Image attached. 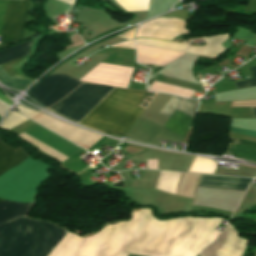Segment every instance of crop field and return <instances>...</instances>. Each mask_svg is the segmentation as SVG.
I'll return each mask as SVG.
<instances>
[{
    "instance_id": "obj_1",
    "label": "crop field",
    "mask_w": 256,
    "mask_h": 256,
    "mask_svg": "<svg viewBox=\"0 0 256 256\" xmlns=\"http://www.w3.org/2000/svg\"><path fill=\"white\" fill-rule=\"evenodd\" d=\"M139 211L129 222L108 226L98 234L80 239L49 224L14 218L0 224V256H115L134 232Z\"/></svg>"
},
{
    "instance_id": "obj_2",
    "label": "crop field",
    "mask_w": 256,
    "mask_h": 256,
    "mask_svg": "<svg viewBox=\"0 0 256 256\" xmlns=\"http://www.w3.org/2000/svg\"><path fill=\"white\" fill-rule=\"evenodd\" d=\"M144 92L115 88L80 123L104 133L122 134L130 128L143 109L137 107Z\"/></svg>"
},
{
    "instance_id": "obj_3",
    "label": "crop field",
    "mask_w": 256,
    "mask_h": 256,
    "mask_svg": "<svg viewBox=\"0 0 256 256\" xmlns=\"http://www.w3.org/2000/svg\"><path fill=\"white\" fill-rule=\"evenodd\" d=\"M52 168L31 156L16 167L0 176V198L15 202L34 203L38 195V185L48 176Z\"/></svg>"
},
{
    "instance_id": "obj_4",
    "label": "crop field",
    "mask_w": 256,
    "mask_h": 256,
    "mask_svg": "<svg viewBox=\"0 0 256 256\" xmlns=\"http://www.w3.org/2000/svg\"><path fill=\"white\" fill-rule=\"evenodd\" d=\"M112 89L103 85L84 83L48 109L78 123Z\"/></svg>"
},
{
    "instance_id": "obj_5",
    "label": "crop field",
    "mask_w": 256,
    "mask_h": 256,
    "mask_svg": "<svg viewBox=\"0 0 256 256\" xmlns=\"http://www.w3.org/2000/svg\"><path fill=\"white\" fill-rule=\"evenodd\" d=\"M30 2L0 0V47L23 38Z\"/></svg>"
},
{
    "instance_id": "obj_6",
    "label": "crop field",
    "mask_w": 256,
    "mask_h": 256,
    "mask_svg": "<svg viewBox=\"0 0 256 256\" xmlns=\"http://www.w3.org/2000/svg\"><path fill=\"white\" fill-rule=\"evenodd\" d=\"M81 83L64 75L47 76L29 93L42 105L48 107L69 94Z\"/></svg>"
},
{
    "instance_id": "obj_7",
    "label": "crop field",
    "mask_w": 256,
    "mask_h": 256,
    "mask_svg": "<svg viewBox=\"0 0 256 256\" xmlns=\"http://www.w3.org/2000/svg\"><path fill=\"white\" fill-rule=\"evenodd\" d=\"M31 119L46 126L47 128L53 130L54 132L87 150L102 137L98 134L86 130L71 127L61 121L50 118L41 113L37 114Z\"/></svg>"
},
{
    "instance_id": "obj_8",
    "label": "crop field",
    "mask_w": 256,
    "mask_h": 256,
    "mask_svg": "<svg viewBox=\"0 0 256 256\" xmlns=\"http://www.w3.org/2000/svg\"><path fill=\"white\" fill-rule=\"evenodd\" d=\"M186 21L177 18H156L141 24L136 38L152 37L172 40L177 35L188 34L185 29Z\"/></svg>"
},
{
    "instance_id": "obj_9",
    "label": "crop field",
    "mask_w": 256,
    "mask_h": 256,
    "mask_svg": "<svg viewBox=\"0 0 256 256\" xmlns=\"http://www.w3.org/2000/svg\"><path fill=\"white\" fill-rule=\"evenodd\" d=\"M182 100H183V98L172 96L171 99L168 101V103L165 105V107L162 109L161 113L170 116L174 112V110L178 107V105L181 103ZM197 103L198 102H192V101L184 99L177 109L194 117L195 112H196ZM169 119L188 128L193 118L176 110L174 112V114ZM169 119L165 123L164 127L170 129L171 131L175 132L176 134H178L180 136H183V134L187 128H185Z\"/></svg>"
},
{
    "instance_id": "obj_10",
    "label": "crop field",
    "mask_w": 256,
    "mask_h": 256,
    "mask_svg": "<svg viewBox=\"0 0 256 256\" xmlns=\"http://www.w3.org/2000/svg\"><path fill=\"white\" fill-rule=\"evenodd\" d=\"M32 41L33 40L21 45L12 47L10 49L1 51L0 64L26 55L30 50ZM0 81L9 87L16 88L19 90H24L31 82H33V80H29L19 76L9 78L1 68H0Z\"/></svg>"
},
{
    "instance_id": "obj_11",
    "label": "crop field",
    "mask_w": 256,
    "mask_h": 256,
    "mask_svg": "<svg viewBox=\"0 0 256 256\" xmlns=\"http://www.w3.org/2000/svg\"><path fill=\"white\" fill-rule=\"evenodd\" d=\"M29 155L21 147L16 149L0 141V175L16 166Z\"/></svg>"
},
{
    "instance_id": "obj_12",
    "label": "crop field",
    "mask_w": 256,
    "mask_h": 256,
    "mask_svg": "<svg viewBox=\"0 0 256 256\" xmlns=\"http://www.w3.org/2000/svg\"><path fill=\"white\" fill-rule=\"evenodd\" d=\"M249 181L246 178L201 175L198 186L245 189Z\"/></svg>"
},
{
    "instance_id": "obj_13",
    "label": "crop field",
    "mask_w": 256,
    "mask_h": 256,
    "mask_svg": "<svg viewBox=\"0 0 256 256\" xmlns=\"http://www.w3.org/2000/svg\"><path fill=\"white\" fill-rule=\"evenodd\" d=\"M227 34L225 35H217L212 37H205L203 38L206 42L205 46L202 47H190L189 49L183 51L189 54L207 56L215 58L220 52L224 51L225 49L220 45L221 42L226 40Z\"/></svg>"
},
{
    "instance_id": "obj_14",
    "label": "crop field",
    "mask_w": 256,
    "mask_h": 256,
    "mask_svg": "<svg viewBox=\"0 0 256 256\" xmlns=\"http://www.w3.org/2000/svg\"><path fill=\"white\" fill-rule=\"evenodd\" d=\"M32 206L33 204L0 201V223L20 215L29 214Z\"/></svg>"
},
{
    "instance_id": "obj_15",
    "label": "crop field",
    "mask_w": 256,
    "mask_h": 256,
    "mask_svg": "<svg viewBox=\"0 0 256 256\" xmlns=\"http://www.w3.org/2000/svg\"><path fill=\"white\" fill-rule=\"evenodd\" d=\"M226 153L235 154L236 157L256 161V148L230 143Z\"/></svg>"
},
{
    "instance_id": "obj_16",
    "label": "crop field",
    "mask_w": 256,
    "mask_h": 256,
    "mask_svg": "<svg viewBox=\"0 0 256 256\" xmlns=\"http://www.w3.org/2000/svg\"><path fill=\"white\" fill-rule=\"evenodd\" d=\"M136 43L140 44H146V45H152L157 46L161 48H167V49H173V50H183L188 48V45L180 44V43H174V42H167V41H160V40H154V39H136L134 40Z\"/></svg>"
},
{
    "instance_id": "obj_17",
    "label": "crop field",
    "mask_w": 256,
    "mask_h": 256,
    "mask_svg": "<svg viewBox=\"0 0 256 256\" xmlns=\"http://www.w3.org/2000/svg\"><path fill=\"white\" fill-rule=\"evenodd\" d=\"M115 1H117L122 7H124L126 11H141V10H148L150 0H115Z\"/></svg>"
},
{
    "instance_id": "obj_18",
    "label": "crop field",
    "mask_w": 256,
    "mask_h": 256,
    "mask_svg": "<svg viewBox=\"0 0 256 256\" xmlns=\"http://www.w3.org/2000/svg\"><path fill=\"white\" fill-rule=\"evenodd\" d=\"M18 136H20V137L26 139L27 141L33 143L34 145L38 146L40 150L46 152L47 154H49V155L55 157L56 159H58V160H60V161H62V162L65 161L66 159H68V158L62 156L61 154H59V153L53 151L52 149L46 147L45 145L39 143L38 141H36V140L30 138L29 136H27V135H25V134H23V133L19 134ZM26 140H25V141H26Z\"/></svg>"
},
{
    "instance_id": "obj_19",
    "label": "crop field",
    "mask_w": 256,
    "mask_h": 256,
    "mask_svg": "<svg viewBox=\"0 0 256 256\" xmlns=\"http://www.w3.org/2000/svg\"><path fill=\"white\" fill-rule=\"evenodd\" d=\"M19 115L11 111L10 114L6 117V119L2 122L0 127L9 129V128H12L15 125L27 120V119L21 117L22 115L21 116H19Z\"/></svg>"
},
{
    "instance_id": "obj_20",
    "label": "crop field",
    "mask_w": 256,
    "mask_h": 256,
    "mask_svg": "<svg viewBox=\"0 0 256 256\" xmlns=\"http://www.w3.org/2000/svg\"><path fill=\"white\" fill-rule=\"evenodd\" d=\"M237 89L256 86V79L245 80L234 83Z\"/></svg>"
},
{
    "instance_id": "obj_21",
    "label": "crop field",
    "mask_w": 256,
    "mask_h": 256,
    "mask_svg": "<svg viewBox=\"0 0 256 256\" xmlns=\"http://www.w3.org/2000/svg\"><path fill=\"white\" fill-rule=\"evenodd\" d=\"M231 140H232L233 143H238V144H242V145H246V146L256 147V142L237 139V138H233V137H231Z\"/></svg>"
},
{
    "instance_id": "obj_22",
    "label": "crop field",
    "mask_w": 256,
    "mask_h": 256,
    "mask_svg": "<svg viewBox=\"0 0 256 256\" xmlns=\"http://www.w3.org/2000/svg\"><path fill=\"white\" fill-rule=\"evenodd\" d=\"M15 108L18 109L20 112H22L23 114H25L29 118L38 113V112H35L33 110H30V109H27V108H24V107H21V106H16Z\"/></svg>"
},
{
    "instance_id": "obj_23",
    "label": "crop field",
    "mask_w": 256,
    "mask_h": 256,
    "mask_svg": "<svg viewBox=\"0 0 256 256\" xmlns=\"http://www.w3.org/2000/svg\"><path fill=\"white\" fill-rule=\"evenodd\" d=\"M229 131L256 137V132H254V131H248V130L233 128V127H231Z\"/></svg>"
},
{
    "instance_id": "obj_24",
    "label": "crop field",
    "mask_w": 256,
    "mask_h": 256,
    "mask_svg": "<svg viewBox=\"0 0 256 256\" xmlns=\"http://www.w3.org/2000/svg\"><path fill=\"white\" fill-rule=\"evenodd\" d=\"M135 28H136V26L131 28V29H129V30H127V31H125L124 33L118 35V37H122V38H126V39L132 38V36H133V34L135 32Z\"/></svg>"
},
{
    "instance_id": "obj_25",
    "label": "crop field",
    "mask_w": 256,
    "mask_h": 256,
    "mask_svg": "<svg viewBox=\"0 0 256 256\" xmlns=\"http://www.w3.org/2000/svg\"><path fill=\"white\" fill-rule=\"evenodd\" d=\"M116 47H128V48H134L132 41L124 42L121 44L114 45Z\"/></svg>"
},
{
    "instance_id": "obj_26",
    "label": "crop field",
    "mask_w": 256,
    "mask_h": 256,
    "mask_svg": "<svg viewBox=\"0 0 256 256\" xmlns=\"http://www.w3.org/2000/svg\"><path fill=\"white\" fill-rule=\"evenodd\" d=\"M0 100L5 102L8 105L12 104V102L10 100H8L5 96H3L1 93H0Z\"/></svg>"
},
{
    "instance_id": "obj_27",
    "label": "crop field",
    "mask_w": 256,
    "mask_h": 256,
    "mask_svg": "<svg viewBox=\"0 0 256 256\" xmlns=\"http://www.w3.org/2000/svg\"><path fill=\"white\" fill-rule=\"evenodd\" d=\"M248 69H249V71H250L252 77L255 78V77H256V66L250 67V68H248Z\"/></svg>"
},
{
    "instance_id": "obj_28",
    "label": "crop field",
    "mask_w": 256,
    "mask_h": 256,
    "mask_svg": "<svg viewBox=\"0 0 256 256\" xmlns=\"http://www.w3.org/2000/svg\"><path fill=\"white\" fill-rule=\"evenodd\" d=\"M6 106L2 103H0V116L2 117L3 114L5 113V110H6Z\"/></svg>"
},
{
    "instance_id": "obj_29",
    "label": "crop field",
    "mask_w": 256,
    "mask_h": 256,
    "mask_svg": "<svg viewBox=\"0 0 256 256\" xmlns=\"http://www.w3.org/2000/svg\"><path fill=\"white\" fill-rule=\"evenodd\" d=\"M129 254L125 253L124 251H120L116 256H128Z\"/></svg>"
},
{
    "instance_id": "obj_30",
    "label": "crop field",
    "mask_w": 256,
    "mask_h": 256,
    "mask_svg": "<svg viewBox=\"0 0 256 256\" xmlns=\"http://www.w3.org/2000/svg\"><path fill=\"white\" fill-rule=\"evenodd\" d=\"M62 1L67 2V3H69V4H71V5H72V4L74 3V1H75V0H62Z\"/></svg>"
},
{
    "instance_id": "obj_31",
    "label": "crop field",
    "mask_w": 256,
    "mask_h": 256,
    "mask_svg": "<svg viewBox=\"0 0 256 256\" xmlns=\"http://www.w3.org/2000/svg\"><path fill=\"white\" fill-rule=\"evenodd\" d=\"M251 109H252L254 117L256 118V108H251Z\"/></svg>"
},
{
    "instance_id": "obj_32",
    "label": "crop field",
    "mask_w": 256,
    "mask_h": 256,
    "mask_svg": "<svg viewBox=\"0 0 256 256\" xmlns=\"http://www.w3.org/2000/svg\"><path fill=\"white\" fill-rule=\"evenodd\" d=\"M218 233H219V231L214 230V232L212 233V236L216 237Z\"/></svg>"
},
{
    "instance_id": "obj_33",
    "label": "crop field",
    "mask_w": 256,
    "mask_h": 256,
    "mask_svg": "<svg viewBox=\"0 0 256 256\" xmlns=\"http://www.w3.org/2000/svg\"><path fill=\"white\" fill-rule=\"evenodd\" d=\"M129 256H133V255H129Z\"/></svg>"
},
{
    "instance_id": "obj_34",
    "label": "crop field",
    "mask_w": 256,
    "mask_h": 256,
    "mask_svg": "<svg viewBox=\"0 0 256 256\" xmlns=\"http://www.w3.org/2000/svg\"><path fill=\"white\" fill-rule=\"evenodd\" d=\"M197 256H199V254Z\"/></svg>"
}]
</instances>
